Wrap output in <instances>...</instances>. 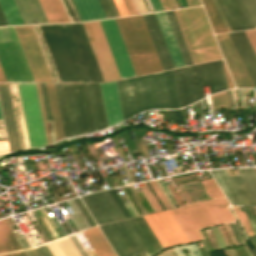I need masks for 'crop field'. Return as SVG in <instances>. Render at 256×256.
Segmentation results:
<instances>
[{
  "mask_svg": "<svg viewBox=\"0 0 256 256\" xmlns=\"http://www.w3.org/2000/svg\"><path fill=\"white\" fill-rule=\"evenodd\" d=\"M116 83L124 120L146 109L180 108L172 70Z\"/></svg>",
  "mask_w": 256,
  "mask_h": 256,
  "instance_id": "8a807250",
  "label": "crop field"
},
{
  "mask_svg": "<svg viewBox=\"0 0 256 256\" xmlns=\"http://www.w3.org/2000/svg\"><path fill=\"white\" fill-rule=\"evenodd\" d=\"M64 136L95 132L87 83H54Z\"/></svg>",
  "mask_w": 256,
  "mask_h": 256,
  "instance_id": "ac0d7876",
  "label": "crop field"
},
{
  "mask_svg": "<svg viewBox=\"0 0 256 256\" xmlns=\"http://www.w3.org/2000/svg\"><path fill=\"white\" fill-rule=\"evenodd\" d=\"M173 12L194 64L222 58L202 7Z\"/></svg>",
  "mask_w": 256,
  "mask_h": 256,
  "instance_id": "34b2d1b8",
  "label": "crop field"
},
{
  "mask_svg": "<svg viewBox=\"0 0 256 256\" xmlns=\"http://www.w3.org/2000/svg\"><path fill=\"white\" fill-rule=\"evenodd\" d=\"M154 234L164 247L188 242L185 234L171 214L170 210L144 216ZM143 216L130 219L150 255L162 249L159 241L146 223Z\"/></svg>",
  "mask_w": 256,
  "mask_h": 256,
  "instance_id": "412701ff",
  "label": "crop field"
},
{
  "mask_svg": "<svg viewBox=\"0 0 256 256\" xmlns=\"http://www.w3.org/2000/svg\"><path fill=\"white\" fill-rule=\"evenodd\" d=\"M225 198L201 204L172 209L174 217L189 241L202 239L197 229L222 222L234 221Z\"/></svg>",
  "mask_w": 256,
  "mask_h": 256,
  "instance_id": "f4fd0767",
  "label": "crop field"
},
{
  "mask_svg": "<svg viewBox=\"0 0 256 256\" xmlns=\"http://www.w3.org/2000/svg\"><path fill=\"white\" fill-rule=\"evenodd\" d=\"M139 74L162 70L141 15L119 18Z\"/></svg>",
  "mask_w": 256,
  "mask_h": 256,
  "instance_id": "dd49c442",
  "label": "crop field"
},
{
  "mask_svg": "<svg viewBox=\"0 0 256 256\" xmlns=\"http://www.w3.org/2000/svg\"><path fill=\"white\" fill-rule=\"evenodd\" d=\"M18 40L13 27H0V41ZM0 65L7 82H34L18 41L0 42Z\"/></svg>",
  "mask_w": 256,
  "mask_h": 256,
  "instance_id": "e52e79f7",
  "label": "crop field"
},
{
  "mask_svg": "<svg viewBox=\"0 0 256 256\" xmlns=\"http://www.w3.org/2000/svg\"><path fill=\"white\" fill-rule=\"evenodd\" d=\"M231 205L256 206V175L252 168L237 169V176L224 170L211 171Z\"/></svg>",
  "mask_w": 256,
  "mask_h": 256,
  "instance_id": "d8731c3e",
  "label": "crop field"
},
{
  "mask_svg": "<svg viewBox=\"0 0 256 256\" xmlns=\"http://www.w3.org/2000/svg\"><path fill=\"white\" fill-rule=\"evenodd\" d=\"M61 82H81L59 24L40 25Z\"/></svg>",
  "mask_w": 256,
  "mask_h": 256,
  "instance_id": "5a996713",
  "label": "crop field"
},
{
  "mask_svg": "<svg viewBox=\"0 0 256 256\" xmlns=\"http://www.w3.org/2000/svg\"><path fill=\"white\" fill-rule=\"evenodd\" d=\"M31 149L47 145L35 83H18Z\"/></svg>",
  "mask_w": 256,
  "mask_h": 256,
  "instance_id": "3316defc",
  "label": "crop field"
},
{
  "mask_svg": "<svg viewBox=\"0 0 256 256\" xmlns=\"http://www.w3.org/2000/svg\"><path fill=\"white\" fill-rule=\"evenodd\" d=\"M35 82H53L31 26L14 27Z\"/></svg>",
  "mask_w": 256,
  "mask_h": 256,
  "instance_id": "28ad6ade",
  "label": "crop field"
},
{
  "mask_svg": "<svg viewBox=\"0 0 256 256\" xmlns=\"http://www.w3.org/2000/svg\"><path fill=\"white\" fill-rule=\"evenodd\" d=\"M104 81L119 79L117 69L98 21L83 23Z\"/></svg>",
  "mask_w": 256,
  "mask_h": 256,
  "instance_id": "d1516ede",
  "label": "crop field"
},
{
  "mask_svg": "<svg viewBox=\"0 0 256 256\" xmlns=\"http://www.w3.org/2000/svg\"><path fill=\"white\" fill-rule=\"evenodd\" d=\"M121 78L133 76L134 71L114 19L99 21Z\"/></svg>",
  "mask_w": 256,
  "mask_h": 256,
  "instance_id": "22f410ed",
  "label": "crop field"
},
{
  "mask_svg": "<svg viewBox=\"0 0 256 256\" xmlns=\"http://www.w3.org/2000/svg\"><path fill=\"white\" fill-rule=\"evenodd\" d=\"M227 66L237 87L253 88V84L228 36L215 35Z\"/></svg>",
  "mask_w": 256,
  "mask_h": 256,
  "instance_id": "cbeb9de0",
  "label": "crop field"
},
{
  "mask_svg": "<svg viewBox=\"0 0 256 256\" xmlns=\"http://www.w3.org/2000/svg\"><path fill=\"white\" fill-rule=\"evenodd\" d=\"M91 82H104L82 23L69 24Z\"/></svg>",
  "mask_w": 256,
  "mask_h": 256,
  "instance_id": "5142ce71",
  "label": "crop field"
},
{
  "mask_svg": "<svg viewBox=\"0 0 256 256\" xmlns=\"http://www.w3.org/2000/svg\"><path fill=\"white\" fill-rule=\"evenodd\" d=\"M232 31L256 28L242 0H217Z\"/></svg>",
  "mask_w": 256,
  "mask_h": 256,
  "instance_id": "d9b57169",
  "label": "crop field"
},
{
  "mask_svg": "<svg viewBox=\"0 0 256 256\" xmlns=\"http://www.w3.org/2000/svg\"><path fill=\"white\" fill-rule=\"evenodd\" d=\"M163 70L174 68L153 13L142 15Z\"/></svg>",
  "mask_w": 256,
  "mask_h": 256,
  "instance_id": "733c2abd",
  "label": "crop field"
},
{
  "mask_svg": "<svg viewBox=\"0 0 256 256\" xmlns=\"http://www.w3.org/2000/svg\"><path fill=\"white\" fill-rule=\"evenodd\" d=\"M109 127L123 121L115 81L100 83Z\"/></svg>",
  "mask_w": 256,
  "mask_h": 256,
  "instance_id": "4a817a6b",
  "label": "crop field"
},
{
  "mask_svg": "<svg viewBox=\"0 0 256 256\" xmlns=\"http://www.w3.org/2000/svg\"><path fill=\"white\" fill-rule=\"evenodd\" d=\"M204 86L210 94L227 89L221 60L199 65Z\"/></svg>",
  "mask_w": 256,
  "mask_h": 256,
  "instance_id": "bc2a9ffb",
  "label": "crop field"
},
{
  "mask_svg": "<svg viewBox=\"0 0 256 256\" xmlns=\"http://www.w3.org/2000/svg\"><path fill=\"white\" fill-rule=\"evenodd\" d=\"M0 101L10 149L11 151L20 150L7 83H0Z\"/></svg>",
  "mask_w": 256,
  "mask_h": 256,
  "instance_id": "214f88e0",
  "label": "crop field"
},
{
  "mask_svg": "<svg viewBox=\"0 0 256 256\" xmlns=\"http://www.w3.org/2000/svg\"><path fill=\"white\" fill-rule=\"evenodd\" d=\"M171 56L174 67L185 66L164 12L154 13Z\"/></svg>",
  "mask_w": 256,
  "mask_h": 256,
  "instance_id": "92a150f3",
  "label": "crop field"
},
{
  "mask_svg": "<svg viewBox=\"0 0 256 256\" xmlns=\"http://www.w3.org/2000/svg\"><path fill=\"white\" fill-rule=\"evenodd\" d=\"M0 256H26L4 219L0 220Z\"/></svg>",
  "mask_w": 256,
  "mask_h": 256,
  "instance_id": "dafd665d",
  "label": "crop field"
},
{
  "mask_svg": "<svg viewBox=\"0 0 256 256\" xmlns=\"http://www.w3.org/2000/svg\"><path fill=\"white\" fill-rule=\"evenodd\" d=\"M26 24L48 23L38 0H15Z\"/></svg>",
  "mask_w": 256,
  "mask_h": 256,
  "instance_id": "00972430",
  "label": "crop field"
},
{
  "mask_svg": "<svg viewBox=\"0 0 256 256\" xmlns=\"http://www.w3.org/2000/svg\"><path fill=\"white\" fill-rule=\"evenodd\" d=\"M91 96V102L94 112V118L96 123V129L101 130L107 128V120L100 90L99 83H88Z\"/></svg>",
  "mask_w": 256,
  "mask_h": 256,
  "instance_id": "a9b5d70f",
  "label": "crop field"
},
{
  "mask_svg": "<svg viewBox=\"0 0 256 256\" xmlns=\"http://www.w3.org/2000/svg\"><path fill=\"white\" fill-rule=\"evenodd\" d=\"M82 21L106 18L98 0H73Z\"/></svg>",
  "mask_w": 256,
  "mask_h": 256,
  "instance_id": "4177f3b9",
  "label": "crop field"
},
{
  "mask_svg": "<svg viewBox=\"0 0 256 256\" xmlns=\"http://www.w3.org/2000/svg\"><path fill=\"white\" fill-rule=\"evenodd\" d=\"M83 234L97 256H115L98 227L83 231Z\"/></svg>",
  "mask_w": 256,
  "mask_h": 256,
  "instance_id": "730fd06b",
  "label": "crop field"
},
{
  "mask_svg": "<svg viewBox=\"0 0 256 256\" xmlns=\"http://www.w3.org/2000/svg\"><path fill=\"white\" fill-rule=\"evenodd\" d=\"M49 23L69 22L59 0H39Z\"/></svg>",
  "mask_w": 256,
  "mask_h": 256,
  "instance_id": "eef30255",
  "label": "crop field"
},
{
  "mask_svg": "<svg viewBox=\"0 0 256 256\" xmlns=\"http://www.w3.org/2000/svg\"><path fill=\"white\" fill-rule=\"evenodd\" d=\"M45 85H46L50 109H51V113H52L56 139L58 141V140L63 139L64 136H63L62 126H61V121H60V116H59V111H58V105H57L54 85H53V83H45Z\"/></svg>",
  "mask_w": 256,
  "mask_h": 256,
  "instance_id": "ae1a2a85",
  "label": "crop field"
},
{
  "mask_svg": "<svg viewBox=\"0 0 256 256\" xmlns=\"http://www.w3.org/2000/svg\"><path fill=\"white\" fill-rule=\"evenodd\" d=\"M47 246L54 256H81L69 236L48 243Z\"/></svg>",
  "mask_w": 256,
  "mask_h": 256,
  "instance_id": "d3111659",
  "label": "crop field"
},
{
  "mask_svg": "<svg viewBox=\"0 0 256 256\" xmlns=\"http://www.w3.org/2000/svg\"><path fill=\"white\" fill-rule=\"evenodd\" d=\"M168 18V21L170 23L171 29L173 31V34L175 36L176 42L178 44V47L180 49L181 55L183 57L184 63L186 66L192 65L191 58L189 56L188 50L186 48V45L184 43V40L182 38L181 32L179 30V27L177 25V22L175 20L174 14L172 11L165 12Z\"/></svg>",
  "mask_w": 256,
  "mask_h": 256,
  "instance_id": "750c4746",
  "label": "crop field"
},
{
  "mask_svg": "<svg viewBox=\"0 0 256 256\" xmlns=\"http://www.w3.org/2000/svg\"><path fill=\"white\" fill-rule=\"evenodd\" d=\"M82 82H89L67 24H60Z\"/></svg>",
  "mask_w": 256,
  "mask_h": 256,
  "instance_id": "bd1437ed",
  "label": "crop field"
},
{
  "mask_svg": "<svg viewBox=\"0 0 256 256\" xmlns=\"http://www.w3.org/2000/svg\"><path fill=\"white\" fill-rule=\"evenodd\" d=\"M0 7L9 25L24 24L14 0H0Z\"/></svg>",
  "mask_w": 256,
  "mask_h": 256,
  "instance_id": "1d83c4d3",
  "label": "crop field"
},
{
  "mask_svg": "<svg viewBox=\"0 0 256 256\" xmlns=\"http://www.w3.org/2000/svg\"><path fill=\"white\" fill-rule=\"evenodd\" d=\"M215 34L227 32L212 0H202Z\"/></svg>",
  "mask_w": 256,
  "mask_h": 256,
  "instance_id": "120bbe31",
  "label": "crop field"
},
{
  "mask_svg": "<svg viewBox=\"0 0 256 256\" xmlns=\"http://www.w3.org/2000/svg\"><path fill=\"white\" fill-rule=\"evenodd\" d=\"M197 101L205 97L198 65L190 66Z\"/></svg>",
  "mask_w": 256,
  "mask_h": 256,
  "instance_id": "d32e631a",
  "label": "crop field"
},
{
  "mask_svg": "<svg viewBox=\"0 0 256 256\" xmlns=\"http://www.w3.org/2000/svg\"><path fill=\"white\" fill-rule=\"evenodd\" d=\"M202 184L210 195L211 199L224 197L213 179L202 181Z\"/></svg>",
  "mask_w": 256,
  "mask_h": 256,
  "instance_id": "5866460e",
  "label": "crop field"
},
{
  "mask_svg": "<svg viewBox=\"0 0 256 256\" xmlns=\"http://www.w3.org/2000/svg\"><path fill=\"white\" fill-rule=\"evenodd\" d=\"M210 99L213 108L229 107L225 91L211 95Z\"/></svg>",
  "mask_w": 256,
  "mask_h": 256,
  "instance_id": "028f5c9d",
  "label": "crop field"
},
{
  "mask_svg": "<svg viewBox=\"0 0 256 256\" xmlns=\"http://www.w3.org/2000/svg\"><path fill=\"white\" fill-rule=\"evenodd\" d=\"M150 186L152 187V189L154 190L155 194L157 195V197L159 198L160 202L162 203V205L164 206L165 210L167 209H171L170 204L168 203V201L166 200L165 196L163 195V193L161 192L160 188L158 187V185L156 184L155 180L153 181H149Z\"/></svg>",
  "mask_w": 256,
  "mask_h": 256,
  "instance_id": "e1f06a70",
  "label": "crop field"
},
{
  "mask_svg": "<svg viewBox=\"0 0 256 256\" xmlns=\"http://www.w3.org/2000/svg\"><path fill=\"white\" fill-rule=\"evenodd\" d=\"M233 209H234L236 215L238 216V218H239L241 224L243 225V227H244V229H245L247 235H249V236L254 235L253 232H252V230H251V228H250V226H249V224H248V221H247V219H246V216H245V214H244V211L240 212V210H239L238 207H233Z\"/></svg>",
  "mask_w": 256,
  "mask_h": 256,
  "instance_id": "0bd39190",
  "label": "crop field"
},
{
  "mask_svg": "<svg viewBox=\"0 0 256 256\" xmlns=\"http://www.w3.org/2000/svg\"><path fill=\"white\" fill-rule=\"evenodd\" d=\"M143 185L146 187L147 190H144L143 193L145 194L146 198L148 199V201L150 202V204L152 205L153 209L155 210V212L158 211H162V208L160 207V205L158 204V202L156 201V199L154 198L153 194L151 193V191L149 190V188L147 187V185L145 184V182H143Z\"/></svg>",
  "mask_w": 256,
  "mask_h": 256,
  "instance_id": "b80d0937",
  "label": "crop field"
},
{
  "mask_svg": "<svg viewBox=\"0 0 256 256\" xmlns=\"http://www.w3.org/2000/svg\"><path fill=\"white\" fill-rule=\"evenodd\" d=\"M170 122L183 121L181 110H168Z\"/></svg>",
  "mask_w": 256,
  "mask_h": 256,
  "instance_id": "c035e120",
  "label": "crop field"
},
{
  "mask_svg": "<svg viewBox=\"0 0 256 256\" xmlns=\"http://www.w3.org/2000/svg\"><path fill=\"white\" fill-rule=\"evenodd\" d=\"M33 250L37 256H52L46 244L33 248Z\"/></svg>",
  "mask_w": 256,
  "mask_h": 256,
  "instance_id": "c21b1889",
  "label": "crop field"
},
{
  "mask_svg": "<svg viewBox=\"0 0 256 256\" xmlns=\"http://www.w3.org/2000/svg\"><path fill=\"white\" fill-rule=\"evenodd\" d=\"M23 237V236H22ZM18 239V238H17ZM18 242L20 243V245L22 246L23 250L25 251V253L27 254V256H35V254L33 253L30 245L28 244V242L26 241L25 237L18 239Z\"/></svg>",
  "mask_w": 256,
  "mask_h": 256,
  "instance_id": "03da06ac",
  "label": "crop field"
},
{
  "mask_svg": "<svg viewBox=\"0 0 256 256\" xmlns=\"http://www.w3.org/2000/svg\"><path fill=\"white\" fill-rule=\"evenodd\" d=\"M255 52H256V30H248V31H245Z\"/></svg>",
  "mask_w": 256,
  "mask_h": 256,
  "instance_id": "b54c1fbb",
  "label": "crop field"
},
{
  "mask_svg": "<svg viewBox=\"0 0 256 256\" xmlns=\"http://www.w3.org/2000/svg\"><path fill=\"white\" fill-rule=\"evenodd\" d=\"M36 85H37L38 96H39V101H40V106H41V111H42V117H43L45 132H46L47 143H48V145H49L50 142H49V137H48V132H47V126H46V121H45V116H44L42 101H41V95H40L39 85H38V83H36Z\"/></svg>",
  "mask_w": 256,
  "mask_h": 256,
  "instance_id": "5d738f31",
  "label": "crop field"
},
{
  "mask_svg": "<svg viewBox=\"0 0 256 256\" xmlns=\"http://www.w3.org/2000/svg\"><path fill=\"white\" fill-rule=\"evenodd\" d=\"M129 15L137 14L131 0H122Z\"/></svg>",
  "mask_w": 256,
  "mask_h": 256,
  "instance_id": "d23c7cc5",
  "label": "crop field"
},
{
  "mask_svg": "<svg viewBox=\"0 0 256 256\" xmlns=\"http://www.w3.org/2000/svg\"><path fill=\"white\" fill-rule=\"evenodd\" d=\"M114 3L119 11L120 16L128 15L121 0H114Z\"/></svg>",
  "mask_w": 256,
  "mask_h": 256,
  "instance_id": "425ffa30",
  "label": "crop field"
},
{
  "mask_svg": "<svg viewBox=\"0 0 256 256\" xmlns=\"http://www.w3.org/2000/svg\"><path fill=\"white\" fill-rule=\"evenodd\" d=\"M243 209L245 210L246 215H247V218H248V221H249V224H250V226H251V228H252L254 234L256 235V227H255V225H254V222H253V219H252V217H251L250 211H249L248 208H243Z\"/></svg>",
  "mask_w": 256,
  "mask_h": 256,
  "instance_id": "25e5ab78",
  "label": "crop field"
},
{
  "mask_svg": "<svg viewBox=\"0 0 256 256\" xmlns=\"http://www.w3.org/2000/svg\"><path fill=\"white\" fill-rule=\"evenodd\" d=\"M155 12L164 10L159 0H150Z\"/></svg>",
  "mask_w": 256,
  "mask_h": 256,
  "instance_id": "73cf0c24",
  "label": "crop field"
},
{
  "mask_svg": "<svg viewBox=\"0 0 256 256\" xmlns=\"http://www.w3.org/2000/svg\"><path fill=\"white\" fill-rule=\"evenodd\" d=\"M213 2H214L215 6H216V8H217V11H218V13H219V15H220V17H221V19H222V21H223V23H224L226 29H227V31L230 32L231 30H230V28H229V26H228V24H227V22H226V20H225V18H224V16H223L222 12H221V10H220V8H219V6H218L216 0H213Z\"/></svg>",
  "mask_w": 256,
  "mask_h": 256,
  "instance_id": "89e229c0",
  "label": "crop field"
},
{
  "mask_svg": "<svg viewBox=\"0 0 256 256\" xmlns=\"http://www.w3.org/2000/svg\"><path fill=\"white\" fill-rule=\"evenodd\" d=\"M222 62H223V61H222ZM223 67H224V72H225L227 87H228V89H232V88H234V86H233V84H232V81H231L230 76H229V74H228V72H227V69H226V67H225L224 62H223Z\"/></svg>",
  "mask_w": 256,
  "mask_h": 256,
  "instance_id": "1f2cbd36",
  "label": "crop field"
},
{
  "mask_svg": "<svg viewBox=\"0 0 256 256\" xmlns=\"http://www.w3.org/2000/svg\"><path fill=\"white\" fill-rule=\"evenodd\" d=\"M168 188L170 189V191L172 192L173 196L175 197V199L177 200V202L179 203L180 206H183V202L181 201V199L179 198L178 194L176 193V191L174 190V188L172 187V185H168Z\"/></svg>",
  "mask_w": 256,
  "mask_h": 256,
  "instance_id": "dbb93151",
  "label": "crop field"
},
{
  "mask_svg": "<svg viewBox=\"0 0 256 256\" xmlns=\"http://www.w3.org/2000/svg\"><path fill=\"white\" fill-rule=\"evenodd\" d=\"M9 152L7 142L6 141H0V154Z\"/></svg>",
  "mask_w": 256,
  "mask_h": 256,
  "instance_id": "0fb4a251",
  "label": "crop field"
},
{
  "mask_svg": "<svg viewBox=\"0 0 256 256\" xmlns=\"http://www.w3.org/2000/svg\"><path fill=\"white\" fill-rule=\"evenodd\" d=\"M160 1H161L165 10L173 9L169 0H160Z\"/></svg>",
  "mask_w": 256,
  "mask_h": 256,
  "instance_id": "1d79db26",
  "label": "crop field"
},
{
  "mask_svg": "<svg viewBox=\"0 0 256 256\" xmlns=\"http://www.w3.org/2000/svg\"><path fill=\"white\" fill-rule=\"evenodd\" d=\"M189 7L201 5L199 0H186Z\"/></svg>",
  "mask_w": 256,
  "mask_h": 256,
  "instance_id": "9d1cf04e",
  "label": "crop field"
},
{
  "mask_svg": "<svg viewBox=\"0 0 256 256\" xmlns=\"http://www.w3.org/2000/svg\"><path fill=\"white\" fill-rule=\"evenodd\" d=\"M0 25H8L0 9Z\"/></svg>",
  "mask_w": 256,
  "mask_h": 256,
  "instance_id": "447ae74e",
  "label": "crop field"
},
{
  "mask_svg": "<svg viewBox=\"0 0 256 256\" xmlns=\"http://www.w3.org/2000/svg\"><path fill=\"white\" fill-rule=\"evenodd\" d=\"M216 229V231H217V233H218V235H219V238H220V241H221V243H222V246H223V248H225L226 246H225V244H224V242H223V239H222V237H221V235H220V232H219V230H218V228L216 227L215 228ZM215 229H214V231H215ZM212 230V229H211ZM216 231H215V233H216ZM213 232V231H212ZM217 233H216V235H217ZM214 234V233H213ZM218 235H217V237H218ZM218 238V239H219ZM220 248V247H219Z\"/></svg>",
  "mask_w": 256,
  "mask_h": 256,
  "instance_id": "0765c3eb",
  "label": "crop field"
},
{
  "mask_svg": "<svg viewBox=\"0 0 256 256\" xmlns=\"http://www.w3.org/2000/svg\"><path fill=\"white\" fill-rule=\"evenodd\" d=\"M0 82H6L4 79L3 73L1 71V68H0Z\"/></svg>",
  "mask_w": 256,
  "mask_h": 256,
  "instance_id": "db79e9e6",
  "label": "crop field"
},
{
  "mask_svg": "<svg viewBox=\"0 0 256 256\" xmlns=\"http://www.w3.org/2000/svg\"><path fill=\"white\" fill-rule=\"evenodd\" d=\"M179 1H180V3H181V5H182L183 8L188 7L187 4H186V2H185V0H179Z\"/></svg>",
  "mask_w": 256,
  "mask_h": 256,
  "instance_id": "7b73153f",
  "label": "crop field"
},
{
  "mask_svg": "<svg viewBox=\"0 0 256 256\" xmlns=\"http://www.w3.org/2000/svg\"><path fill=\"white\" fill-rule=\"evenodd\" d=\"M251 240H252V242H253V243L255 244V246H256V242H255V241H256V238H254L255 241L253 240V238H251Z\"/></svg>",
  "mask_w": 256,
  "mask_h": 256,
  "instance_id": "78b8030e",
  "label": "crop field"
},
{
  "mask_svg": "<svg viewBox=\"0 0 256 256\" xmlns=\"http://www.w3.org/2000/svg\"><path fill=\"white\" fill-rule=\"evenodd\" d=\"M253 170L255 171V173H256V168H253Z\"/></svg>",
  "mask_w": 256,
  "mask_h": 256,
  "instance_id": "0f1d7ab4",
  "label": "crop field"
},
{
  "mask_svg": "<svg viewBox=\"0 0 256 256\" xmlns=\"http://www.w3.org/2000/svg\"><path fill=\"white\" fill-rule=\"evenodd\" d=\"M0 119H2V117H1V112H0Z\"/></svg>",
  "mask_w": 256,
  "mask_h": 256,
  "instance_id": "e1d0b9f6",
  "label": "crop field"
}]
</instances>
